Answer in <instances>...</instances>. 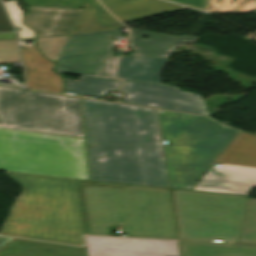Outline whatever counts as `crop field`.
<instances>
[{"label": "crop field", "instance_id": "obj_3", "mask_svg": "<svg viewBox=\"0 0 256 256\" xmlns=\"http://www.w3.org/2000/svg\"><path fill=\"white\" fill-rule=\"evenodd\" d=\"M5 173L23 191L0 235L83 245L74 179Z\"/></svg>", "mask_w": 256, "mask_h": 256}, {"label": "crop field", "instance_id": "obj_29", "mask_svg": "<svg viewBox=\"0 0 256 256\" xmlns=\"http://www.w3.org/2000/svg\"><path fill=\"white\" fill-rule=\"evenodd\" d=\"M177 3H181L184 5H188L191 7L199 8L205 10L206 4L208 0H170Z\"/></svg>", "mask_w": 256, "mask_h": 256}, {"label": "crop field", "instance_id": "obj_33", "mask_svg": "<svg viewBox=\"0 0 256 256\" xmlns=\"http://www.w3.org/2000/svg\"><path fill=\"white\" fill-rule=\"evenodd\" d=\"M256 12V10H254Z\"/></svg>", "mask_w": 256, "mask_h": 256}, {"label": "crop field", "instance_id": "obj_7", "mask_svg": "<svg viewBox=\"0 0 256 256\" xmlns=\"http://www.w3.org/2000/svg\"><path fill=\"white\" fill-rule=\"evenodd\" d=\"M0 124L85 138L81 98L0 87Z\"/></svg>", "mask_w": 256, "mask_h": 256}, {"label": "crop field", "instance_id": "obj_13", "mask_svg": "<svg viewBox=\"0 0 256 256\" xmlns=\"http://www.w3.org/2000/svg\"><path fill=\"white\" fill-rule=\"evenodd\" d=\"M21 58L26 68L27 87L62 93V79L52 68L54 63L33 47H23Z\"/></svg>", "mask_w": 256, "mask_h": 256}, {"label": "crop field", "instance_id": "obj_19", "mask_svg": "<svg viewBox=\"0 0 256 256\" xmlns=\"http://www.w3.org/2000/svg\"><path fill=\"white\" fill-rule=\"evenodd\" d=\"M215 163L256 167V136L241 132Z\"/></svg>", "mask_w": 256, "mask_h": 256}, {"label": "crop field", "instance_id": "obj_23", "mask_svg": "<svg viewBox=\"0 0 256 256\" xmlns=\"http://www.w3.org/2000/svg\"><path fill=\"white\" fill-rule=\"evenodd\" d=\"M256 9V0H212L209 12L248 13Z\"/></svg>", "mask_w": 256, "mask_h": 256}, {"label": "crop field", "instance_id": "obj_31", "mask_svg": "<svg viewBox=\"0 0 256 256\" xmlns=\"http://www.w3.org/2000/svg\"><path fill=\"white\" fill-rule=\"evenodd\" d=\"M2 39H17L16 33H4L0 34V40Z\"/></svg>", "mask_w": 256, "mask_h": 256}, {"label": "crop field", "instance_id": "obj_27", "mask_svg": "<svg viewBox=\"0 0 256 256\" xmlns=\"http://www.w3.org/2000/svg\"><path fill=\"white\" fill-rule=\"evenodd\" d=\"M91 4L96 6L98 9H99V20L105 24H108V25H111V26H114V27H117V28H122L123 26L121 24H119L117 21H115L113 19V17L108 14L101 6L100 4L94 0V1H91Z\"/></svg>", "mask_w": 256, "mask_h": 256}, {"label": "crop field", "instance_id": "obj_5", "mask_svg": "<svg viewBox=\"0 0 256 256\" xmlns=\"http://www.w3.org/2000/svg\"><path fill=\"white\" fill-rule=\"evenodd\" d=\"M0 170L89 180L85 139L0 128Z\"/></svg>", "mask_w": 256, "mask_h": 256}, {"label": "crop field", "instance_id": "obj_8", "mask_svg": "<svg viewBox=\"0 0 256 256\" xmlns=\"http://www.w3.org/2000/svg\"><path fill=\"white\" fill-rule=\"evenodd\" d=\"M108 35H121L117 30L69 36L55 70L57 72L98 77L105 57L113 56L114 43Z\"/></svg>", "mask_w": 256, "mask_h": 256}, {"label": "crop field", "instance_id": "obj_28", "mask_svg": "<svg viewBox=\"0 0 256 256\" xmlns=\"http://www.w3.org/2000/svg\"><path fill=\"white\" fill-rule=\"evenodd\" d=\"M118 57H107L103 65L102 71L99 77L102 78H113L116 62Z\"/></svg>", "mask_w": 256, "mask_h": 256}, {"label": "crop field", "instance_id": "obj_6", "mask_svg": "<svg viewBox=\"0 0 256 256\" xmlns=\"http://www.w3.org/2000/svg\"><path fill=\"white\" fill-rule=\"evenodd\" d=\"M169 192L178 239L238 243L248 197Z\"/></svg>", "mask_w": 256, "mask_h": 256}, {"label": "crop field", "instance_id": "obj_16", "mask_svg": "<svg viewBox=\"0 0 256 256\" xmlns=\"http://www.w3.org/2000/svg\"><path fill=\"white\" fill-rule=\"evenodd\" d=\"M0 256H86L85 248L14 239L0 250Z\"/></svg>", "mask_w": 256, "mask_h": 256}, {"label": "crop field", "instance_id": "obj_22", "mask_svg": "<svg viewBox=\"0 0 256 256\" xmlns=\"http://www.w3.org/2000/svg\"><path fill=\"white\" fill-rule=\"evenodd\" d=\"M239 243L256 245V199L249 197Z\"/></svg>", "mask_w": 256, "mask_h": 256}, {"label": "crop field", "instance_id": "obj_17", "mask_svg": "<svg viewBox=\"0 0 256 256\" xmlns=\"http://www.w3.org/2000/svg\"><path fill=\"white\" fill-rule=\"evenodd\" d=\"M166 60L159 58L121 57L116 78L161 84L159 75Z\"/></svg>", "mask_w": 256, "mask_h": 256}, {"label": "crop field", "instance_id": "obj_10", "mask_svg": "<svg viewBox=\"0 0 256 256\" xmlns=\"http://www.w3.org/2000/svg\"><path fill=\"white\" fill-rule=\"evenodd\" d=\"M87 256H179L176 241L85 236Z\"/></svg>", "mask_w": 256, "mask_h": 256}, {"label": "crop field", "instance_id": "obj_32", "mask_svg": "<svg viewBox=\"0 0 256 256\" xmlns=\"http://www.w3.org/2000/svg\"><path fill=\"white\" fill-rule=\"evenodd\" d=\"M11 238L0 237V247L5 244Z\"/></svg>", "mask_w": 256, "mask_h": 256}, {"label": "crop field", "instance_id": "obj_11", "mask_svg": "<svg viewBox=\"0 0 256 256\" xmlns=\"http://www.w3.org/2000/svg\"><path fill=\"white\" fill-rule=\"evenodd\" d=\"M256 187V168L221 164L209 172L193 190L248 195Z\"/></svg>", "mask_w": 256, "mask_h": 256}, {"label": "crop field", "instance_id": "obj_21", "mask_svg": "<svg viewBox=\"0 0 256 256\" xmlns=\"http://www.w3.org/2000/svg\"><path fill=\"white\" fill-rule=\"evenodd\" d=\"M86 2L72 32L73 34L113 30L97 21V10Z\"/></svg>", "mask_w": 256, "mask_h": 256}, {"label": "crop field", "instance_id": "obj_26", "mask_svg": "<svg viewBox=\"0 0 256 256\" xmlns=\"http://www.w3.org/2000/svg\"><path fill=\"white\" fill-rule=\"evenodd\" d=\"M4 5L9 13L15 27H19L22 29V30H20V32H18L19 37L23 38V37L34 36L33 30L22 25V22H21L22 10L16 6L15 2L14 1L5 2Z\"/></svg>", "mask_w": 256, "mask_h": 256}, {"label": "crop field", "instance_id": "obj_4", "mask_svg": "<svg viewBox=\"0 0 256 256\" xmlns=\"http://www.w3.org/2000/svg\"><path fill=\"white\" fill-rule=\"evenodd\" d=\"M170 185L190 189L239 132L196 115L158 110Z\"/></svg>", "mask_w": 256, "mask_h": 256}, {"label": "crop field", "instance_id": "obj_14", "mask_svg": "<svg viewBox=\"0 0 256 256\" xmlns=\"http://www.w3.org/2000/svg\"><path fill=\"white\" fill-rule=\"evenodd\" d=\"M129 31L136 56L144 57L167 58L172 48L186 42L194 43L197 39V37L170 36L131 28Z\"/></svg>", "mask_w": 256, "mask_h": 256}, {"label": "crop field", "instance_id": "obj_18", "mask_svg": "<svg viewBox=\"0 0 256 256\" xmlns=\"http://www.w3.org/2000/svg\"><path fill=\"white\" fill-rule=\"evenodd\" d=\"M182 256H256L255 247L179 241Z\"/></svg>", "mask_w": 256, "mask_h": 256}, {"label": "crop field", "instance_id": "obj_25", "mask_svg": "<svg viewBox=\"0 0 256 256\" xmlns=\"http://www.w3.org/2000/svg\"><path fill=\"white\" fill-rule=\"evenodd\" d=\"M18 61H19V58H18L17 40L0 41V64L18 62ZM3 85H6V84H3Z\"/></svg>", "mask_w": 256, "mask_h": 256}, {"label": "crop field", "instance_id": "obj_9", "mask_svg": "<svg viewBox=\"0 0 256 256\" xmlns=\"http://www.w3.org/2000/svg\"><path fill=\"white\" fill-rule=\"evenodd\" d=\"M122 93L126 94L124 103L209 116L199 94L178 87L125 81Z\"/></svg>", "mask_w": 256, "mask_h": 256}, {"label": "crop field", "instance_id": "obj_24", "mask_svg": "<svg viewBox=\"0 0 256 256\" xmlns=\"http://www.w3.org/2000/svg\"><path fill=\"white\" fill-rule=\"evenodd\" d=\"M68 36L37 38V45L45 57L56 62Z\"/></svg>", "mask_w": 256, "mask_h": 256}, {"label": "crop field", "instance_id": "obj_2", "mask_svg": "<svg viewBox=\"0 0 256 256\" xmlns=\"http://www.w3.org/2000/svg\"><path fill=\"white\" fill-rule=\"evenodd\" d=\"M75 182L84 233L110 235L109 227L123 226L127 236L177 239L168 189Z\"/></svg>", "mask_w": 256, "mask_h": 256}, {"label": "crop field", "instance_id": "obj_20", "mask_svg": "<svg viewBox=\"0 0 256 256\" xmlns=\"http://www.w3.org/2000/svg\"><path fill=\"white\" fill-rule=\"evenodd\" d=\"M122 81L102 78L80 77L78 80L65 79V91L77 94L102 97L109 90L120 91Z\"/></svg>", "mask_w": 256, "mask_h": 256}, {"label": "crop field", "instance_id": "obj_1", "mask_svg": "<svg viewBox=\"0 0 256 256\" xmlns=\"http://www.w3.org/2000/svg\"><path fill=\"white\" fill-rule=\"evenodd\" d=\"M82 102L90 179L168 187L154 109Z\"/></svg>", "mask_w": 256, "mask_h": 256}, {"label": "crop field", "instance_id": "obj_15", "mask_svg": "<svg viewBox=\"0 0 256 256\" xmlns=\"http://www.w3.org/2000/svg\"><path fill=\"white\" fill-rule=\"evenodd\" d=\"M100 2L121 22L185 8L159 0H100Z\"/></svg>", "mask_w": 256, "mask_h": 256}, {"label": "crop field", "instance_id": "obj_30", "mask_svg": "<svg viewBox=\"0 0 256 256\" xmlns=\"http://www.w3.org/2000/svg\"><path fill=\"white\" fill-rule=\"evenodd\" d=\"M9 20V19H8ZM7 20V17L0 5V32H6V31H15L12 27H11V23L9 24Z\"/></svg>", "mask_w": 256, "mask_h": 256}, {"label": "crop field", "instance_id": "obj_12", "mask_svg": "<svg viewBox=\"0 0 256 256\" xmlns=\"http://www.w3.org/2000/svg\"><path fill=\"white\" fill-rule=\"evenodd\" d=\"M25 24L37 31V37L69 35L81 10L30 6Z\"/></svg>", "mask_w": 256, "mask_h": 256}]
</instances>
